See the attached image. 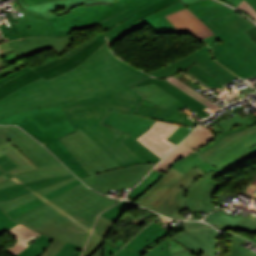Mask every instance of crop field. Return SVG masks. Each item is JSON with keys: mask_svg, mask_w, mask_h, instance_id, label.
<instances>
[{"mask_svg": "<svg viewBox=\"0 0 256 256\" xmlns=\"http://www.w3.org/2000/svg\"><path fill=\"white\" fill-rule=\"evenodd\" d=\"M148 77L118 59L106 42L75 69L48 81L40 78L2 98L0 118L19 111L101 95Z\"/></svg>", "mask_w": 256, "mask_h": 256, "instance_id": "obj_1", "label": "crop field"}, {"mask_svg": "<svg viewBox=\"0 0 256 256\" xmlns=\"http://www.w3.org/2000/svg\"><path fill=\"white\" fill-rule=\"evenodd\" d=\"M215 137V134L207 128L198 126L194 132L183 142L189 144L195 150L206 144L211 138Z\"/></svg>", "mask_w": 256, "mask_h": 256, "instance_id": "obj_37", "label": "crop field"}, {"mask_svg": "<svg viewBox=\"0 0 256 256\" xmlns=\"http://www.w3.org/2000/svg\"><path fill=\"white\" fill-rule=\"evenodd\" d=\"M4 154L7 157H9L13 162H15L18 166L7 173L0 175V182L18 173H21L27 170L38 169L9 141L0 144V156Z\"/></svg>", "mask_w": 256, "mask_h": 256, "instance_id": "obj_27", "label": "crop field"}, {"mask_svg": "<svg viewBox=\"0 0 256 256\" xmlns=\"http://www.w3.org/2000/svg\"><path fill=\"white\" fill-rule=\"evenodd\" d=\"M240 10H242L243 12L247 13L248 15H250L254 20H256V12L254 11V9L244 0L241 2V4L237 7Z\"/></svg>", "mask_w": 256, "mask_h": 256, "instance_id": "obj_52", "label": "crop field"}, {"mask_svg": "<svg viewBox=\"0 0 256 256\" xmlns=\"http://www.w3.org/2000/svg\"><path fill=\"white\" fill-rule=\"evenodd\" d=\"M22 11L27 14L26 17L25 18L16 19V22L20 21V20H24V19H45L43 17V15L40 14V13L32 12V11H27V10H24V9Z\"/></svg>", "mask_w": 256, "mask_h": 256, "instance_id": "obj_53", "label": "crop field"}, {"mask_svg": "<svg viewBox=\"0 0 256 256\" xmlns=\"http://www.w3.org/2000/svg\"><path fill=\"white\" fill-rule=\"evenodd\" d=\"M197 154L198 153H195V154H192V155L182 159L181 161H179L174 166L177 167L183 173L187 169H190V168L195 167V166L201 167L207 173L211 172L213 170H216V168L213 165H211L210 163H208L205 160H203L202 158H200Z\"/></svg>", "mask_w": 256, "mask_h": 256, "instance_id": "obj_36", "label": "crop field"}, {"mask_svg": "<svg viewBox=\"0 0 256 256\" xmlns=\"http://www.w3.org/2000/svg\"><path fill=\"white\" fill-rule=\"evenodd\" d=\"M16 24L21 38L27 36H53L50 24L46 20H24Z\"/></svg>", "mask_w": 256, "mask_h": 256, "instance_id": "obj_34", "label": "crop field"}, {"mask_svg": "<svg viewBox=\"0 0 256 256\" xmlns=\"http://www.w3.org/2000/svg\"><path fill=\"white\" fill-rule=\"evenodd\" d=\"M11 28H7L6 24H1L0 25V30L1 33L4 37L5 40H14V39H19V33L17 30V26H10Z\"/></svg>", "mask_w": 256, "mask_h": 256, "instance_id": "obj_45", "label": "crop field"}, {"mask_svg": "<svg viewBox=\"0 0 256 256\" xmlns=\"http://www.w3.org/2000/svg\"><path fill=\"white\" fill-rule=\"evenodd\" d=\"M222 1H224V2H226V3H228V4L232 5V6H234V4L231 2V0H222Z\"/></svg>", "mask_w": 256, "mask_h": 256, "instance_id": "obj_66", "label": "crop field"}, {"mask_svg": "<svg viewBox=\"0 0 256 256\" xmlns=\"http://www.w3.org/2000/svg\"><path fill=\"white\" fill-rule=\"evenodd\" d=\"M69 177L70 178L74 177V175L69 174V175L51 177V178L42 179V180H38V181L26 183V184H21L13 187L0 189V200H8V199L16 198L27 192L38 190L52 183H55L64 179H68Z\"/></svg>", "mask_w": 256, "mask_h": 256, "instance_id": "obj_28", "label": "crop field"}, {"mask_svg": "<svg viewBox=\"0 0 256 256\" xmlns=\"http://www.w3.org/2000/svg\"><path fill=\"white\" fill-rule=\"evenodd\" d=\"M6 14H7L6 16H7L8 20H9V24H10V25L15 24V21H14V18H13V16H12V14L9 13V12H7Z\"/></svg>", "mask_w": 256, "mask_h": 256, "instance_id": "obj_61", "label": "crop field"}, {"mask_svg": "<svg viewBox=\"0 0 256 256\" xmlns=\"http://www.w3.org/2000/svg\"><path fill=\"white\" fill-rule=\"evenodd\" d=\"M182 8H185L183 3L181 1L174 3L172 5H169L151 15L148 17L120 30L119 32L109 36L107 39L110 44L116 42L120 38L124 37L128 33L143 27L145 25H149L150 28L156 33H179L178 30L175 28L173 24L169 20H167L164 16L168 15L174 11L180 10Z\"/></svg>", "mask_w": 256, "mask_h": 256, "instance_id": "obj_17", "label": "crop field"}, {"mask_svg": "<svg viewBox=\"0 0 256 256\" xmlns=\"http://www.w3.org/2000/svg\"><path fill=\"white\" fill-rule=\"evenodd\" d=\"M106 41L104 33L97 34L92 39L82 43L61 57H57L32 69L27 65L1 78L0 99L41 76L47 80L76 67Z\"/></svg>", "mask_w": 256, "mask_h": 256, "instance_id": "obj_8", "label": "crop field"}, {"mask_svg": "<svg viewBox=\"0 0 256 256\" xmlns=\"http://www.w3.org/2000/svg\"><path fill=\"white\" fill-rule=\"evenodd\" d=\"M202 40H204L212 49L213 35L208 38L202 39Z\"/></svg>", "mask_w": 256, "mask_h": 256, "instance_id": "obj_60", "label": "crop field"}, {"mask_svg": "<svg viewBox=\"0 0 256 256\" xmlns=\"http://www.w3.org/2000/svg\"><path fill=\"white\" fill-rule=\"evenodd\" d=\"M156 1L120 0L106 5L79 7L63 17L55 16L47 22L51 24L54 36L69 35L74 29H86L99 22L103 27Z\"/></svg>", "mask_w": 256, "mask_h": 256, "instance_id": "obj_9", "label": "crop field"}, {"mask_svg": "<svg viewBox=\"0 0 256 256\" xmlns=\"http://www.w3.org/2000/svg\"><path fill=\"white\" fill-rule=\"evenodd\" d=\"M60 140L91 175L82 181L104 195L110 189L121 191L137 184L156 164L120 168L81 129Z\"/></svg>", "mask_w": 256, "mask_h": 256, "instance_id": "obj_5", "label": "crop field"}, {"mask_svg": "<svg viewBox=\"0 0 256 256\" xmlns=\"http://www.w3.org/2000/svg\"><path fill=\"white\" fill-rule=\"evenodd\" d=\"M197 169L201 168L186 171L179 180L164 176L135 203L177 219H186L178 214L184 209L191 213L200 209L210 213L215 210L213 196L220 185L213 178L222 172L217 170L201 177Z\"/></svg>", "mask_w": 256, "mask_h": 256, "instance_id": "obj_4", "label": "crop field"}, {"mask_svg": "<svg viewBox=\"0 0 256 256\" xmlns=\"http://www.w3.org/2000/svg\"><path fill=\"white\" fill-rule=\"evenodd\" d=\"M134 113L147 116L155 120L178 123L193 128L198 124V122L192 118V120H189V118H187L188 116L182 111H173L155 107L145 97H143Z\"/></svg>", "mask_w": 256, "mask_h": 256, "instance_id": "obj_21", "label": "crop field"}, {"mask_svg": "<svg viewBox=\"0 0 256 256\" xmlns=\"http://www.w3.org/2000/svg\"><path fill=\"white\" fill-rule=\"evenodd\" d=\"M204 220L216 227L218 229H242L249 232H256V216L248 214L246 218L242 217H232L224 214L223 210L215 211L209 214ZM256 238V237H255Z\"/></svg>", "mask_w": 256, "mask_h": 256, "instance_id": "obj_23", "label": "crop field"}, {"mask_svg": "<svg viewBox=\"0 0 256 256\" xmlns=\"http://www.w3.org/2000/svg\"><path fill=\"white\" fill-rule=\"evenodd\" d=\"M19 1L26 6H29V5L39 4V3H43L51 0H19Z\"/></svg>", "mask_w": 256, "mask_h": 256, "instance_id": "obj_57", "label": "crop field"}, {"mask_svg": "<svg viewBox=\"0 0 256 256\" xmlns=\"http://www.w3.org/2000/svg\"><path fill=\"white\" fill-rule=\"evenodd\" d=\"M188 70L190 73H192L194 76H196L198 79L203 81L208 86L215 88V87H221L223 83L213 78L211 75H209L207 72H205L203 69H201L197 65H192L189 67Z\"/></svg>", "mask_w": 256, "mask_h": 256, "instance_id": "obj_41", "label": "crop field"}, {"mask_svg": "<svg viewBox=\"0 0 256 256\" xmlns=\"http://www.w3.org/2000/svg\"><path fill=\"white\" fill-rule=\"evenodd\" d=\"M256 145V133L247 129L232 133L216 146L199 155L216 168L225 172L249 158L255 157L249 148Z\"/></svg>", "mask_w": 256, "mask_h": 256, "instance_id": "obj_10", "label": "crop field"}, {"mask_svg": "<svg viewBox=\"0 0 256 256\" xmlns=\"http://www.w3.org/2000/svg\"><path fill=\"white\" fill-rule=\"evenodd\" d=\"M183 175L182 172H180L177 168H175L174 166H172V168H170L165 176L174 178V179H179L181 176Z\"/></svg>", "mask_w": 256, "mask_h": 256, "instance_id": "obj_56", "label": "crop field"}, {"mask_svg": "<svg viewBox=\"0 0 256 256\" xmlns=\"http://www.w3.org/2000/svg\"><path fill=\"white\" fill-rule=\"evenodd\" d=\"M142 96L128 87L100 97L63 104L62 107L76 129H82L120 167L143 163L119 140L128 136L99 125L110 109L133 113Z\"/></svg>", "mask_w": 256, "mask_h": 256, "instance_id": "obj_2", "label": "crop field"}, {"mask_svg": "<svg viewBox=\"0 0 256 256\" xmlns=\"http://www.w3.org/2000/svg\"><path fill=\"white\" fill-rule=\"evenodd\" d=\"M72 179L74 180L76 177L52 184L35 192L27 193L13 200L0 201V209L5 213L54 188L72 181ZM117 202L119 200L107 198L92 191L82 183L14 220L5 214L17 224L24 220L36 228L49 219L60 225L75 214L93 223L94 219L100 213Z\"/></svg>", "mask_w": 256, "mask_h": 256, "instance_id": "obj_3", "label": "crop field"}, {"mask_svg": "<svg viewBox=\"0 0 256 256\" xmlns=\"http://www.w3.org/2000/svg\"><path fill=\"white\" fill-rule=\"evenodd\" d=\"M179 0H160L142 10H139L129 16H126L106 27H104L106 37L117 32L118 30L132 24L133 22Z\"/></svg>", "mask_w": 256, "mask_h": 256, "instance_id": "obj_29", "label": "crop field"}, {"mask_svg": "<svg viewBox=\"0 0 256 256\" xmlns=\"http://www.w3.org/2000/svg\"><path fill=\"white\" fill-rule=\"evenodd\" d=\"M235 114L236 115L234 117L226 121L222 119L217 123L222 128L223 131L235 128L239 125H243L245 127H250L255 125L248 117L240 118L237 113Z\"/></svg>", "mask_w": 256, "mask_h": 256, "instance_id": "obj_42", "label": "crop field"}, {"mask_svg": "<svg viewBox=\"0 0 256 256\" xmlns=\"http://www.w3.org/2000/svg\"><path fill=\"white\" fill-rule=\"evenodd\" d=\"M179 127L178 124L156 121L155 124L138 139L161 159L176 145L166 139Z\"/></svg>", "mask_w": 256, "mask_h": 256, "instance_id": "obj_18", "label": "crop field"}, {"mask_svg": "<svg viewBox=\"0 0 256 256\" xmlns=\"http://www.w3.org/2000/svg\"><path fill=\"white\" fill-rule=\"evenodd\" d=\"M244 128H245V127L240 126V127L235 128V129H232V130H229V131H226V132H222L221 134L218 135V138L215 140L214 143L210 144L209 146L207 145L208 147H206V148L200 150V153H199V154L203 153L204 151H206V150H208L209 148L213 147L214 145L218 144V143L223 139V137H224L225 135H227V134H229V133H232V132H235V131H238V130H242V129H244ZM199 154H198V155H199Z\"/></svg>", "mask_w": 256, "mask_h": 256, "instance_id": "obj_50", "label": "crop field"}, {"mask_svg": "<svg viewBox=\"0 0 256 256\" xmlns=\"http://www.w3.org/2000/svg\"><path fill=\"white\" fill-rule=\"evenodd\" d=\"M256 10V0H246Z\"/></svg>", "mask_w": 256, "mask_h": 256, "instance_id": "obj_64", "label": "crop field"}, {"mask_svg": "<svg viewBox=\"0 0 256 256\" xmlns=\"http://www.w3.org/2000/svg\"><path fill=\"white\" fill-rule=\"evenodd\" d=\"M182 223L184 231L172 239L181 243L195 256H201L204 250L217 255V231L214 228L200 222Z\"/></svg>", "mask_w": 256, "mask_h": 256, "instance_id": "obj_15", "label": "crop field"}, {"mask_svg": "<svg viewBox=\"0 0 256 256\" xmlns=\"http://www.w3.org/2000/svg\"><path fill=\"white\" fill-rule=\"evenodd\" d=\"M197 64L210 73L212 76L223 82L224 84L237 78L232 73L218 65L212 58L211 51L209 50L208 46H204L198 51L162 68L159 69L151 75L156 77H168L172 74L178 73L181 70L188 68L192 64Z\"/></svg>", "mask_w": 256, "mask_h": 256, "instance_id": "obj_14", "label": "crop field"}, {"mask_svg": "<svg viewBox=\"0 0 256 256\" xmlns=\"http://www.w3.org/2000/svg\"><path fill=\"white\" fill-rule=\"evenodd\" d=\"M124 244L117 242L116 244L105 239V253L104 256H112L115 254Z\"/></svg>", "mask_w": 256, "mask_h": 256, "instance_id": "obj_47", "label": "crop field"}, {"mask_svg": "<svg viewBox=\"0 0 256 256\" xmlns=\"http://www.w3.org/2000/svg\"><path fill=\"white\" fill-rule=\"evenodd\" d=\"M103 252H104V245L102 247H100L93 256H103Z\"/></svg>", "mask_w": 256, "mask_h": 256, "instance_id": "obj_62", "label": "crop field"}, {"mask_svg": "<svg viewBox=\"0 0 256 256\" xmlns=\"http://www.w3.org/2000/svg\"><path fill=\"white\" fill-rule=\"evenodd\" d=\"M242 192L256 199V179L248 187L242 190Z\"/></svg>", "mask_w": 256, "mask_h": 256, "instance_id": "obj_55", "label": "crop field"}, {"mask_svg": "<svg viewBox=\"0 0 256 256\" xmlns=\"http://www.w3.org/2000/svg\"><path fill=\"white\" fill-rule=\"evenodd\" d=\"M170 245H171V247H170L171 254L185 250V248L181 244H178L177 242H175L172 239H169V246Z\"/></svg>", "mask_w": 256, "mask_h": 256, "instance_id": "obj_54", "label": "crop field"}, {"mask_svg": "<svg viewBox=\"0 0 256 256\" xmlns=\"http://www.w3.org/2000/svg\"><path fill=\"white\" fill-rule=\"evenodd\" d=\"M115 222L98 216L87 246L81 256H92L104 244L105 235L112 229Z\"/></svg>", "mask_w": 256, "mask_h": 256, "instance_id": "obj_30", "label": "crop field"}, {"mask_svg": "<svg viewBox=\"0 0 256 256\" xmlns=\"http://www.w3.org/2000/svg\"><path fill=\"white\" fill-rule=\"evenodd\" d=\"M192 152L194 151L191 148L182 143L179 147L172 151L165 159H163L154 170L165 173L170 168L169 166L173 161L182 156H186Z\"/></svg>", "mask_w": 256, "mask_h": 256, "instance_id": "obj_39", "label": "crop field"}, {"mask_svg": "<svg viewBox=\"0 0 256 256\" xmlns=\"http://www.w3.org/2000/svg\"><path fill=\"white\" fill-rule=\"evenodd\" d=\"M251 150L256 153V146L251 148Z\"/></svg>", "mask_w": 256, "mask_h": 256, "instance_id": "obj_68", "label": "crop field"}, {"mask_svg": "<svg viewBox=\"0 0 256 256\" xmlns=\"http://www.w3.org/2000/svg\"><path fill=\"white\" fill-rule=\"evenodd\" d=\"M15 166L17 165L14 164L5 155L0 157V174L14 168ZM64 173L69 174L71 172L66 167L51 168V169L37 170V171H27L1 182L0 188L13 186V185L33 181V180L51 177V176L63 175Z\"/></svg>", "mask_w": 256, "mask_h": 256, "instance_id": "obj_20", "label": "crop field"}, {"mask_svg": "<svg viewBox=\"0 0 256 256\" xmlns=\"http://www.w3.org/2000/svg\"><path fill=\"white\" fill-rule=\"evenodd\" d=\"M244 242V239L233 235L229 256H256V253L239 247Z\"/></svg>", "mask_w": 256, "mask_h": 256, "instance_id": "obj_43", "label": "crop field"}, {"mask_svg": "<svg viewBox=\"0 0 256 256\" xmlns=\"http://www.w3.org/2000/svg\"><path fill=\"white\" fill-rule=\"evenodd\" d=\"M197 219H199V218H197V217H192L190 220H197Z\"/></svg>", "mask_w": 256, "mask_h": 256, "instance_id": "obj_69", "label": "crop field"}, {"mask_svg": "<svg viewBox=\"0 0 256 256\" xmlns=\"http://www.w3.org/2000/svg\"><path fill=\"white\" fill-rule=\"evenodd\" d=\"M245 32L256 41V26Z\"/></svg>", "mask_w": 256, "mask_h": 256, "instance_id": "obj_59", "label": "crop field"}, {"mask_svg": "<svg viewBox=\"0 0 256 256\" xmlns=\"http://www.w3.org/2000/svg\"><path fill=\"white\" fill-rule=\"evenodd\" d=\"M135 91H137L142 96H145L148 100H150L155 106L173 109V110H183L185 108L196 112L177 100L171 94L167 93L163 89L159 88L158 86L152 84L148 86H141V87H132ZM197 113V112H196ZM199 117L203 118L201 114L197 113Z\"/></svg>", "mask_w": 256, "mask_h": 256, "instance_id": "obj_25", "label": "crop field"}, {"mask_svg": "<svg viewBox=\"0 0 256 256\" xmlns=\"http://www.w3.org/2000/svg\"><path fill=\"white\" fill-rule=\"evenodd\" d=\"M0 124H17L51 150L80 179L89 176L74 156L58 139L76 131L61 105L12 114ZM27 132V133H28Z\"/></svg>", "mask_w": 256, "mask_h": 256, "instance_id": "obj_6", "label": "crop field"}, {"mask_svg": "<svg viewBox=\"0 0 256 256\" xmlns=\"http://www.w3.org/2000/svg\"><path fill=\"white\" fill-rule=\"evenodd\" d=\"M7 232L18 240L13 246L5 249L13 256L19 254L22 250L32 244L40 236V234L23 226L22 224L15 226Z\"/></svg>", "mask_w": 256, "mask_h": 256, "instance_id": "obj_33", "label": "crop field"}, {"mask_svg": "<svg viewBox=\"0 0 256 256\" xmlns=\"http://www.w3.org/2000/svg\"><path fill=\"white\" fill-rule=\"evenodd\" d=\"M233 1V3L236 5V7L240 4V2L242 1V0H232ZM235 7V8H236Z\"/></svg>", "mask_w": 256, "mask_h": 256, "instance_id": "obj_65", "label": "crop field"}, {"mask_svg": "<svg viewBox=\"0 0 256 256\" xmlns=\"http://www.w3.org/2000/svg\"><path fill=\"white\" fill-rule=\"evenodd\" d=\"M193 129L180 125V127L168 138V140L174 142L176 145Z\"/></svg>", "mask_w": 256, "mask_h": 256, "instance_id": "obj_46", "label": "crop field"}, {"mask_svg": "<svg viewBox=\"0 0 256 256\" xmlns=\"http://www.w3.org/2000/svg\"><path fill=\"white\" fill-rule=\"evenodd\" d=\"M167 80L172 82L174 85L179 87L184 92H186V93L190 94L191 96L195 97L196 99H198L200 102H202L207 107H209V108H211V109H213L215 111L220 108L219 106H217L213 102L209 101L205 97H203V96L199 95L198 93L194 92L195 90L193 91L191 88H189L188 86H186L185 84H183L182 82L177 80L175 77L172 76V77L168 78Z\"/></svg>", "mask_w": 256, "mask_h": 256, "instance_id": "obj_40", "label": "crop field"}, {"mask_svg": "<svg viewBox=\"0 0 256 256\" xmlns=\"http://www.w3.org/2000/svg\"><path fill=\"white\" fill-rule=\"evenodd\" d=\"M165 234L167 231L153 222L114 256H172Z\"/></svg>", "mask_w": 256, "mask_h": 256, "instance_id": "obj_13", "label": "crop field"}, {"mask_svg": "<svg viewBox=\"0 0 256 256\" xmlns=\"http://www.w3.org/2000/svg\"><path fill=\"white\" fill-rule=\"evenodd\" d=\"M76 1H81V0H59V1H54V2H50V3L42 4V5L29 6L26 9L33 10V11H38V12L42 13L45 16L46 19H48V18H51V17L55 16L52 13H50L48 10L55 9V8H57V9L58 8H66L67 9V8L72 7L74 5H81V4H88V3H91V2H96V1H91V2H85V3H77V4H74V5H67L69 3L76 2ZM97 1L112 2V1H115V0H97Z\"/></svg>", "mask_w": 256, "mask_h": 256, "instance_id": "obj_35", "label": "crop field"}, {"mask_svg": "<svg viewBox=\"0 0 256 256\" xmlns=\"http://www.w3.org/2000/svg\"><path fill=\"white\" fill-rule=\"evenodd\" d=\"M132 204L128 201H121L118 205L108 209L101 215L116 222L122 213Z\"/></svg>", "mask_w": 256, "mask_h": 256, "instance_id": "obj_44", "label": "crop field"}, {"mask_svg": "<svg viewBox=\"0 0 256 256\" xmlns=\"http://www.w3.org/2000/svg\"><path fill=\"white\" fill-rule=\"evenodd\" d=\"M251 75H256V71L254 73H252Z\"/></svg>", "mask_w": 256, "mask_h": 256, "instance_id": "obj_71", "label": "crop field"}, {"mask_svg": "<svg viewBox=\"0 0 256 256\" xmlns=\"http://www.w3.org/2000/svg\"><path fill=\"white\" fill-rule=\"evenodd\" d=\"M172 229L176 232V234L183 231L182 224L179 226H174Z\"/></svg>", "mask_w": 256, "mask_h": 256, "instance_id": "obj_63", "label": "crop field"}, {"mask_svg": "<svg viewBox=\"0 0 256 256\" xmlns=\"http://www.w3.org/2000/svg\"><path fill=\"white\" fill-rule=\"evenodd\" d=\"M163 175L164 173L152 171L144 181H142L130 191L129 196L132 197L135 201L145 192H147L151 187H153L162 178Z\"/></svg>", "mask_w": 256, "mask_h": 256, "instance_id": "obj_38", "label": "crop field"}, {"mask_svg": "<svg viewBox=\"0 0 256 256\" xmlns=\"http://www.w3.org/2000/svg\"><path fill=\"white\" fill-rule=\"evenodd\" d=\"M166 18L169 19L176 26L180 33L195 36L200 39L208 37L213 34L186 8L174 12L166 16Z\"/></svg>", "mask_w": 256, "mask_h": 256, "instance_id": "obj_22", "label": "crop field"}, {"mask_svg": "<svg viewBox=\"0 0 256 256\" xmlns=\"http://www.w3.org/2000/svg\"><path fill=\"white\" fill-rule=\"evenodd\" d=\"M22 224L54 239L48 249L41 256H54L67 241L79 245L77 250L83 251L86 240L93 226V224L76 215L60 226L50 220L38 229L24 221Z\"/></svg>", "mask_w": 256, "mask_h": 256, "instance_id": "obj_12", "label": "crop field"}, {"mask_svg": "<svg viewBox=\"0 0 256 256\" xmlns=\"http://www.w3.org/2000/svg\"><path fill=\"white\" fill-rule=\"evenodd\" d=\"M184 2V4L186 3H189V2H193V1H196V0H182Z\"/></svg>", "mask_w": 256, "mask_h": 256, "instance_id": "obj_67", "label": "crop field"}, {"mask_svg": "<svg viewBox=\"0 0 256 256\" xmlns=\"http://www.w3.org/2000/svg\"><path fill=\"white\" fill-rule=\"evenodd\" d=\"M80 183H82V182L79 181L78 179H76V180H74V181H72V182H70L68 184H65V185H63V186H61V187H59L57 189H54V190H52V191H50V192H48V193H46V194H44V195L34 199L32 201H29V202H27V203H25V204L15 208V209H13V210L7 212V214L10 215L14 219V218H16V217H18V216H20V215L30 211L31 209H33V208H35V207H37V206H39V205L49 201L50 199H52V198H54V197H56V196H58V195H60V194H62L64 192H66L67 190H69V189L73 188L74 186H76V184L78 185Z\"/></svg>", "mask_w": 256, "mask_h": 256, "instance_id": "obj_31", "label": "crop field"}, {"mask_svg": "<svg viewBox=\"0 0 256 256\" xmlns=\"http://www.w3.org/2000/svg\"><path fill=\"white\" fill-rule=\"evenodd\" d=\"M16 137L7 127L0 126V143Z\"/></svg>", "mask_w": 256, "mask_h": 256, "instance_id": "obj_51", "label": "crop field"}, {"mask_svg": "<svg viewBox=\"0 0 256 256\" xmlns=\"http://www.w3.org/2000/svg\"><path fill=\"white\" fill-rule=\"evenodd\" d=\"M52 239L41 235L32 245L17 256H40L49 246ZM77 245L66 243L55 256H79L81 251L75 250Z\"/></svg>", "mask_w": 256, "mask_h": 256, "instance_id": "obj_32", "label": "crop field"}, {"mask_svg": "<svg viewBox=\"0 0 256 256\" xmlns=\"http://www.w3.org/2000/svg\"><path fill=\"white\" fill-rule=\"evenodd\" d=\"M186 7L189 8L200 20H202L214 33L218 32V30L208 21L236 12L213 0L196 1L186 4Z\"/></svg>", "mask_w": 256, "mask_h": 256, "instance_id": "obj_24", "label": "crop field"}, {"mask_svg": "<svg viewBox=\"0 0 256 256\" xmlns=\"http://www.w3.org/2000/svg\"><path fill=\"white\" fill-rule=\"evenodd\" d=\"M2 64H3V62H2L1 57H0V68H1Z\"/></svg>", "mask_w": 256, "mask_h": 256, "instance_id": "obj_70", "label": "crop field"}, {"mask_svg": "<svg viewBox=\"0 0 256 256\" xmlns=\"http://www.w3.org/2000/svg\"><path fill=\"white\" fill-rule=\"evenodd\" d=\"M27 65L22 59L14 64H12L11 66L3 69L1 72H0V78Z\"/></svg>", "mask_w": 256, "mask_h": 256, "instance_id": "obj_49", "label": "crop field"}, {"mask_svg": "<svg viewBox=\"0 0 256 256\" xmlns=\"http://www.w3.org/2000/svg\"><path fill=\"white\" fill-rule=\"evenodd\" d=\"M210 23L220 31L215 34V59L245 79L256 70V42L244 31L255 24L238 12Z\"/></svg>", "mask_w": 256, "mask_h": 256, "instance_id": "obj_7", "label": "crop field"}, {"mask_svg": "<svg viewBox=\"0 0 256 256\" xmlns=\"http://www.w3.org/2000/svg\"><path fill=\"white\" fill-rule=\"evenodd\" d=\"M18 137L10 140L39 169L62 165L49 151L16 126H7Z\"/></svg>", "mask_w": 256, "mask_h": 256, "instance_id": "obj_16", "label": "crop field"}, {"mask_svg": "<svg viewBox=\"0 0 256 256\" xmlns=\"http://www.w3.org/2000/svg\"><path fill=\"white\" fill-rule=\"evenodd\" d=\"M154 122V120L147 117L110 110L105 118L101 120L100 124L130 135L121 140V142L132 150L144 163H148L158 162L161 159L135 139L148 130Z\"/></svg>", "mask_w": 256, "mask_h": 256, "instance_id": "obj_11", "label": "crop field"}, {"mask_svg": "<svg viewBox=\"0 0 256 256\" xmlns=\"http://www.w3.org/2000/svg\"><path fill=\"white\" fill-rule=\"evenodd\" d=\"M16 224L12 222L1 210H0V234L8 229H11Z\"/></svg>", "mask_w": 256, "mask_h": 256, "instance_id": "obj_48", "label": "crop field"}, {"mask_svg": "<svg viewBox=\"0 0 256 256\" xmlns=\"http://www.w3.org/2000/svg\"><path fill=\"white\" fill-rule=\"evenodd\" d=\"M72 35L68 37H33L8 42L14 51L25 57L40 51L52 48L56 54H60L69 44Z\"/></svg>", "mask_w": 256, "mask_h": 256, "instance_id": "obj_19", "label": "crop field"}, {"mask_svg": "<svg viewBox=\"0 0 256 256\" xmlns=\"http://www.w3.org/2000/svg\"><path fill=\"white\" fill-rule=\"evenodd\" d=\"M152 83L158 85L159 87L163 88L167 92L171 93L173 96L178 98L180 101H182L183 103H185L186 105H188L189 107H191L192 109L196 110L197 112L201 113L202 115H204L206 117L209 116L210 114H212L213 112H215V111L207 108L206 106H204L202 103H200L195 98L184 93L179 88H177L176 86H174L172 83H170L169 81H167L165 79H155V78L151 77V78H149L147 80H143L133 86L148 85V84H152Z\"/></svg>", "mask_w": 256, "mask_h": 256, "instance_id": "obj_26", "label": "crop field"}, {"mask_svg": "<svg viewBox=\"0 0 256 256\" xmlns=\"http://www.w3.org/2000/svg\"><path fill=\"white\" fill-rule=\"evenodd\" d=\"M173 256H194V255L192 253H190L188 250H185L180 253L174 254ZM202 256H213V255L204 251Z\"/></svg>", "mask_w": 256, "mask_h": 256, "instance_id": "obj_58", "label": "crop field"}]
</instances>
